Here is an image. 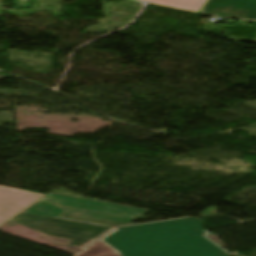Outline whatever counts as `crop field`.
I'll list each match as a JSON object with an SVG mask.
<instances>
[{
  "label": "crop field",
  "instance_id": "8a807250",
  "mask_svg": "<svg viewBox=\"0 0 256 256\" xmlns=\"http://www.w3.org/2000/svg\"><path fill=\"white\" fill-rule=\"evenodd\" d=\"M194 218L121 228L102 239L122 256H218Z\"/></svg>",
  "mask_w": 256,
  "mask_h": 256
},
{
  "label": "crop field",
  "instance_id": "ac0d7876",
  "mask_svg": "<svg viewBox=\"0 0 256 256\" xmlns=\"http://www.w3.org/2000/svg\"><path fill=\"white\" fill-rule=\"evenodd\" d=\"M48 201L67 210L62 218L108 226H122L148 210L48 194Z\"/></svg>",
  "mask_w": 256,
  "mask_h": 256
},
{
  "label": "crop field",
  "instance_id": "34b2d1b8",
  "mask_svg": "<svg viewBox=\"0 0 256 256\" xmlns=\"http://www.w3.org/2000/svg\"><path fill=\"white\" fill-rule=\"evenodd\" d=\"M11 220L43 234L73 240L67 246L82 250L117 230L26 213Z\"/></svg>",
  "mask_w": 256,
  "mask_h": 256
},
{
  "label": "crop field",
  "instance_id": "412701ff",
  "mask_svg": "<svg viewBox=\"0 0 256 256\" xmlns=\"http://www.w3.org/2000/svg\"><path fill=\"white\" fill-rule=\"evenodd\" d=\"M200 13L256 20V0H208Z\"/></svg>",
  "mask_w": 256,
  "mask_h": 256
},
{
  "label": "crop field",
  "instance_id": "f4fd0767",
  "mask_svg": "<svg viewBox=\"0 0 256 256\" xmlns=\"http://www.w3.org/2000/svg\"><path fill=\"white\" fill-rule=\"evenodd\" d=\"M44 195L0 186V220L8 221Z\"/></svg>",
  "mask_w": 256,
  "mask_h": 256
},
{
  "label": "crop field",
  "instance_id": "dd49c442",
  "mask_svg": "<svg viewBox=\"0 0 256 256\" xmlns=\"http://www.w3.org/2000/svg\"><path fill=\"white\" fill-rule=\"evenodd\" d=\"M161 6L198 12L207 0H141Z\"/></svg>",
  "mask_w": 256,
  "mask_h": 256
},
{
  "label": "crop field",
  "instance_id": "e52e79f7",
  "mask_svg": "<svg viewBox=\"0 0 256 256\" xmlns=\"http://www.w3.org/2000/svg\"><path fill=\"white\" fill-rule=\"evenodd\" d=\"M77 256H121L101 240Z\"/></svg>",
  "mask_w": 256,
  "mask_h": 256
},
{
  "label": "crop field",
  "instance_id": "d8731c3e",
  "mask_svg": "<svg viewBox=\"0 0 256 256\" xmlns=\"http://www.w3.org/2000/svg\"><path fill=\"white\" fill-rule=\"evenodd\" d=\"M23 212L54 217L63 212V210L38 201Z\"/></svg>",
  "mask_w": 256,
  "mask_h": 256
},
{
  "label": "crop field",
  "instance_id": "5a996713",
  "mask_svg": "<svg viewBox=\"0 0 256 256\" xmlns=\"http://www.w3.org/2000/svg\"><path fill=\"white\" fill-rule=\"evenodd\" d=\"M38 234H40V233H38ZM40 235H42V236H44V237H46V238H48V239H50V240H52L54 242L61 243V244H64V245H66V244H68L70 242L69 240H64V239H59V238H55V237H50V236H46V235H43V234H40Z\"/></svg>",
  "mask_w": 256,
  "mask_h": 256
},
{
  "label": "crop field",
  "instance_id": "3316defc",
  "mask_svg": "<svg viewBox=\"0 0 256 256\" xmlns=\"http://www.w3.org/2000/svg\"><path fill=\"white\" fill-rule=\"evenodd\" d=\"M219 256H227L225 252L223 251Z\"/></svg>",
  "mask_w": 256,
  "mask_h": 256
},
{
  "label": "crop field",
  "instance_id": "28ad6ade",
  "mask_svg": "<svg viewBox=\"0 0 256 256\" xmlns=\"http://www.w3.org/2000/svg\"><path fill=\"white\" fill-rule=\"evenodd\" d=\"M4 223H6L5 221H0V226H2Z\"/></svg>",
  "mask_w": 256,
  "mask_h": 256
}]
</instances>
